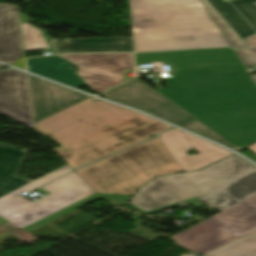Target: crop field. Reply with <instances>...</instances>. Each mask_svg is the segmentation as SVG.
Wrapping results in <instances>:
<instances>
[{"label":"crop field","mask_w":256,"mask_h":256,"mask_svg":"<svg viewBox=\"0 0 256 256\" xmlns=\"http://www.w3.org/2000/svg\"><path fill=\"white\" fill-rule=\"evenodd\" d=\"M137 64L162 61L175 78L159 93L235 150L256 141V84L231 48L136 54Z\"/></svg>","instance_id":"8a807250"},{"label":"crop field","mask_w":256,"mask_h":256,"mask_svg":"<svg viewBox=\"0 0 256 256\" xmlns=\"http://www.w3.org/2000/svg\"><path fill=\"white\" fill-rule=\"evenodd\" d=\"M36 131L62 145L52 149L73 169L135 145L172 127L140 113L89 100L37 124Z\"/></svg>","instance_id":"ac0d7876"},{"label":"crop field","mask_w":256,"mask_h":256,"mask_svg":"<svg viewBox=\"0 0 256 256\" xmlns=\"http://www.w3.org/2000/svg\"><path fill=\"white\" fill-rule=\"evenodd\" d=\"M134 52L230 46L200 0H129Z\"/></svg>","instance_id":"34b2d1b8"},{"label":"crop field","mask_w":256,"mask_h":256,"mask_svg":"<svg viewBox=\"0 0 256 256\" xmlns=\"http://www.w3.org/2000/svg\"><path fill=\"white\" fill-rule=\"evenodd\" d=\"M76 172L112 206L127 205L147 180L183 172L158 137L82 167Z\"/></svg>","instance_id":"412701ff"},{"label":"crop field","mask_w":256,"mask_h":256,"mask_svg":"<svg viewBox=\"0 0 256 256\" xmlns=\"http://www.w3.org/2000/svg\"><path fill=\"white\" fill-rule=\"evenodd\" d=\"M70 170L66 165L1 197L0 216L31 233L101 198L75 171L43 187L51 194L34 203L21 195Z\"/></svg>","instance_id":"f4fd0767"},{"label":"crop field","mask_w":256,"mask_h":256,"mask_svg":"<svg viewBox=\"0 0 256 256\" xmlns=\"http://www.w3.org/2000/svg\"><path fill=\"white\" fill-rule=\"evenodd\" d=\"M255 168L234 154L200 171L157 178L138 190L130 207L148 214L187 203Z\"/></svg>","instance_id":"dd49c442"},{"label":"crop field","mask_w":256,"mask_h":256,"mask_svg":"<svg viewBox=\"0 0 256 256\" xmlns=\"http://www.w3.org/2000/svg\"><path fill=\"white\" fill-rule=\"evenodd\" d=\"M102 95L113 101L135 106L165 120L228 145L198 120L137 78Z\"/></svg>","instance_id":"e52e79f7"},{"label":"crop field","mask_w":256,"mask_h":256,"mask_svg":"<svg viewBox=\"0 0 256 256\" xmlns=\"http://www.w3.org/2000/svg\"><path fill=\"white\" fill-rule=\"evenodd\" d=\"M76 64L82 79L97 93L123 82L121 71L134 68L132 54L59 55Z\"/></svg>","instance_id":"d8731c3e"},{"label":"crop field","mask_w":256,"mask_h":256,"mask_svg":"<svg viewBox=\"0 0 256 256\" xmlns=\"http://www.w3.org/2000/svg\"><path fill=\"white\" fill-rule=\"evenodd\" d=\"M183 133L190 140L199 154L189 155L184 153V151H188L193 147L177 129L165 132L159 136L184 172L200 169L233 154L232 152L209 143L199 137L186 132Z\"/></svg>","instance_id":"5a996713"},{"label":"crop field","mask_w":256,"mask_h":256,"mask_svg":"<svg viewBox=\"0 0 256 256\" xmlns=\"http://www.w3.org/2000/svg\"><path fill=\"white\" fill-rule=\"evenodd\" d=\"M0 113L35 130L26 74L0 70Z\"/></svg>","instance_id":"3316defc"},{"label":"crop field","mask_w":256,"mask_h":256,"mask_svg":"<svg viewBox=\"0 0 256 256\" xmlns=\"http://www.w3.org/2000/svg\"><path fill=\"white\" fill-rule=\"evenodd\" d=\"M35 123L90 96L29 76Z\"/></svg>","instance_id":"28ad6ade"},{"label":"crop field","mask_w":256,"mask_h":256,"mask_svg":"<svg viewBox=\"0 0 256 256\" xmlns=\"http://www.w3.org/2000/svg\"><path fill=\"white\" fill-rule=\"evenodd\" d=\"M238 238L240 237L209 219L172 237L178 246L201 254Z\"/></svg>","instance_id":"d1516ede"},{"label":"crop field","mask_w":256,"mask_h":256,"mask_svg":"<svg viewBox=\"0 0 256 256\" xmlns=\"http://www.w3.org/2000/svg\"><path fill=\"white\" fill-rule=\"evenodd\" d=\"M13 5L0 4V61L13 65L23 56L19 24L27 16Z\"/></svg>","instance_id":"22f410ed"},{"label":"crop field","mask_w":256,"mask_h":256,"mask_svg":"<svg viewBox=\"0 0 256 256\" xmlns=\"http://www.w3.org/2000/svg\"><path fill=\"white\" fill-rule=\"evenodd\" d=\"M256 195V170L199 200L223 211Z\"/></svg>","instance_id":"cbeb9de0"},{"label":"crop field","mask_w":256,"mask_h":256,"mask_svg":"<svg viewBox=\"0 0 256 256\" xmlns=\"http://www.w3.org/2000/svg\"><path fill=\"white\" fill-rule=\"evenodd\" d=\"M27 150L0 143V197L33 181L17 175Z\"/></svg>","instance_id":"5142ce71"},{"label":"crop field","mask_w":256,"mask_h":256,"mask_svg":"<svg viewBox=\"0 0 256 256\" xmlns=\"http://www.w3.org/2000/svg\"><path fill=\"white\" fill-rule=\"evenodd\" d=\"M210 219L244 237L256 231V196Z\"/></svg>","instance_id":"d9b57169"},{"label":"crop field","mask_w":256,"mask_h":256,"mask_svg":"<svg viewBox=\"0 0 256 256\" xmlns=\"http://www.w3.org/2000/svg\"><path fill=\"white\" fill-rule=\"evenodd\" d=\"M209 1L216 7L219 13L234 28L241 38L255 33L229 2L223 3L221 0ZM254 2H256V0H237L232 3L256 29V5L253 4Z\"/></svg>","instance_id":"733c2abd"},{"label":"crop field","mask_w":256,"mask_h":256,"mask_svg":"<svg viewBox=\"0 0 256 256\" xmlns=\"http://www.w3.org/2000/svg\"><path fill=\"white\" fill-rule=\"evenodd\" d=\"M58 54L76 52H133L131 38L68 39L54 44Z\"/></svg>","instance_id":"4a817a6b"},{"label":"crop field","mask_w":256,"mask_h":256,"mask_svg":"<svg viewBox=\"0 0 256 256\" xmlns=\"http://www.w3.org/2000/svg\"><path fill=\"white\" fill-rule=\"evenodd\" d=\"M62 61L64 60L56 56L28 59V71L76 88L85 86L72 70L74 66L71 64L64 66L60 63Z\"/></svg>","instance_id":"bc2a9ffb"},{"label":"crop field","mask_w":256,"mask_h":256,"mask_svg":"<svg viewBox=\"0 0 256 256\" xmlns=\"http://www.w3.org/2000/svg\"><path fill=\"white\" fill-rule=\"evenodd\" d=\"M256 255V232L211 251L203 256H254Z\"/></svg>","instance_id":"214f88e0"},{"label":"crop field","mask_w":256,"mask_h":256,"mask_svg":"<svg viewBox=\"0 0 256 256\" xmlns=\"http://www.w3.org/2000/svg\"><path fill=\"white\" fill-rule=\"evenodd\" d=\"M21 26L25 51L52 49L44 31L29 23H23Z\"/></svg>","instance_id":"92a150f3"},{"label":"crop field","mask_w":256,"mask_h":256,"mask_svg":"<svg viewBox=\"0 0 256 256\" xmlns=\"http://www.w3.org/2000/svg\"><path fill=\"white\" fill-rule=\"evenodd\" d=\"M201 2L233 48L247 46L208 0H201Z\"/></svg>","instance_id":"dafd665d"},{"label":"crop field","mask_w":256,"mask_h":256,"mask_svg":"<svg viewBox=\"0 0 256 256\" xmlns=\"http://www.w3.org/2000/svg\"><path fill=\"white\" fill-rule=\"evenodd\" d=\"M236 53L240 57L241 61L245 65V67L256 64V55L252 52V50L250 48L236 50ZM252 78L256 82V75H253Z\"/></svg>","instance_id":"00972430"},{"label":"crop field","mask_w":256,"mask_h":256,"mask_svg":"<svg viewBox=\"0 0 256 256\" xmlns=\"http://www.w3.org/2000/svg\"><path fill=\"white\" fill-rule=\"evenodd\" d=\"M14 66L18 67V68H21L23 70H25V66H24V59L23 57L14 64Z\"/></svg>","instance_id":"a9b5d70f"},{"label":"crop field","mask_w":256,"mask_h":256,"mask_svg":"<svg viewBox=\"0 0 256 256\" xmlns=\"http://www.w3.org/2000/svg\"><path fill=\"white\" fill-rule=\"evenodd\" d=\"M255 4H256V3H255ZM246 41L248 42V44H249L250 46L256 45V35L253 36V37H250V38L246 39Z\"/></svg>","instance_id":"4177f3b9"},{"label":"crop field","mask_w":256,"mask_h":256,"mask_svg":"<svg viewBox=\"0 0 256 256\" xmlns=\"http://www.w3.org/2000/svg\"><path fill=\"white\" fill-rule=\"evenodd\" d=\"M6 222H8V221L0 217V225L4 224V223H6ZM8 223H9V222H8ZM6 224H7V223H6ZM4 225H5V224H4ZM2 226H3V225H2Z\"/></svg>","instance_id":"730fd06b"},{"label":"crop field","mask_w":256,"mask_h":256,"mask_svg":"<svg viewBox=\"0 0 256 256\" xmlns=\"http://www.w3.org/2000/svg\"><path fill=\"white\" fill-rule=\"evenodd\" d=\"M248 148H250L251 150H253L254 152H256V144H254V145H252V146H250V147H248Z\"/></svg>","instance_id":"eef30255"},{"label":"crop field","mask_w":256,"mask_h":256,"mask_svg":"<svg viewBox=\"0 0 256 256\" xmlns=\"http://www.w3.org/2000/svg\"><path fill=\"white\" fill-rule=\"evenodd\" d=\"M185 256H196V255H194V254H192V253H189V254H187V255H185Z\"/></svg>","instance_id":"ae1a2a85"},{"label":"crop field","mask_w":256,"mask_h":256,"mask_svg":"<svg viewBox=\"0 0 256 256\" xmlns=\"http://www.w3.org/2000/svg\"><path fill=\"white\" fill-rule=\"evenodd\" d=\"M253 51H254V53L256 54V47H252L251 48Z\"/></svg>","instance_id":"d3111659"},{"label":"crop field","mask_w":256,"mask_h":256,"mask_svg":"<svg viewBox=\"0 0 256 256\" xmlns=\"http://www.w3.org/2000/svg\"><path fill=\"white\" fill-rule=\"evenodd\" d=\"M64 63H65L64 65L69 64V63H68V62H66V61H64Z\"/></svg>","instance_id":"750c4746"}]
</instances>
